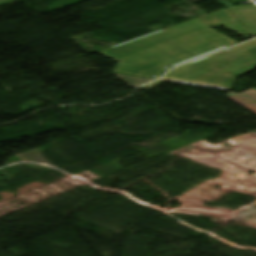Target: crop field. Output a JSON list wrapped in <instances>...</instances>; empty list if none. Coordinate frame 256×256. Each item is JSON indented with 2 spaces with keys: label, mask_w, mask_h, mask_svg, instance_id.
Here are the masks:
<instances>
[{
  "label": "crop field",
  "mask_w": 256,
  "mask_h": 256,
  "mask_svg": "<svg viewBox=\"0 0 256 256\" xmlns=\"http://www.w3.org/2000/svg\"><path fill=\"white\" fill-rule=\"evenodd\" d=\"M228 98L245 107L246 109L256 113V89L253 88L241 94L228 92L226 94Z\"/></svg>",
  "instance_id": "obj_3"
},
{
  "label": "crop field",
  "mask_w": 256,
  "mask_h": 256,
  "mask_svg": "<svg viewBox=\"0 0 256 256\" xmlns=\"http://www.w3.org/2000/svg\"><path fill=\"white\" fill-rule=\"evenodd\" d=\"M256 68V40L179 67L161 80L149 84L152 88L166 80L230 90L238 75Z\"/></svg>",
  "instance_id": "obj_2"
},
{
  "label": "crop field",
  "mask_w": 256,
  "mask_h": 256,
  "mask_svg": "<svg viewBox=\"0 0 256 256\" xmlns=\"http://www.w3.org/2000/svg\"><path fill=\"white\" fill-rule=\"evenodd\" d=\"M114 75L117 76L120 80H122L125 84L132 87H137L144 83L151 82L154 80V79L129 76V75H123V74H117V73H114Z\"/></svg>",
  "instance_id": "obj_4"
},
{
  "label": "crop field",
  "mask_w": 256,
  "mask_h": 256,
  "mask_svg": "<svg viewBox=\"0 0 256 256\" xmlns=\"http://www.w3.org/2000/svg\"><path fill=\"white\" fill-rule=\"evenodd\" d=\"M217 1L228 8L98 53L120 60L113 72L152 78L170 66L237 43L210 27L222 25L246 39L256 36V7L231 6L243 0Z\"/></svg>",
  "instance_id": "obj_1"
}]
</instances>
